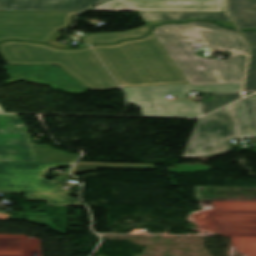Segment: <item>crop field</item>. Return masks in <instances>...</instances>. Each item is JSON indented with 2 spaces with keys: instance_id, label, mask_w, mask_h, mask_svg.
<instances>
[{
  "instance_id": "d1516ede",
  "label": "crop field",
  "mask_w": 256,
  "mask_h": 256,
  "mask_svg": "<svg viewBox=\"0 0 256 256\" xmlns=\"http://www.w3.org/2000/svg\"><path fill=\"white\" fill-rule=\"evenodd\" d=\"M149 28L165 21L184 22L187 19H207L218 25L235 28L225 12H138ZM236 29V28H235Z\"/></svg>"
},
{
  "instance_id": "5142ce71",
  "label": "crop field",
  "mask_w": 256,
  "mask_h": 256,
  "mask_svg": "<svg viewBox=\"0 0 256 256\" xmlns=\"http://www.w3.org/2000/svg\"><path fill=\"white\" fill-rule=\"evenodd\" d=\"M149 31L147 26L122 32V33H99V34H90L84 39L89 43H113L120 39L127 38H138L144 36Z\"/></svg>"
},
{
  "instance_id": "28ad6ade",
  "label": "crop field",
  "mask_w": 256,
  "mask_h": 256,
  "mask_svg": "<svg viewBox=\"0 0 256 256\" xmlns=\"http://www.w3.org/2000/svg\"><path fill=\"white\" fill-rule=\"evenodd\" d=\"M100 0H1L0 10H78Z\"/></svg>"
},
{
  "instance_id": "dafd665d",
  "label": "crop field",
  "mask_w": 256,
  "mask_h": 256,
  "mask_svg": "<svg viewBox=\"0 0 256 256\" xmlns=\"http://www.w3.org/2000/svg\"><path fill=\"white\" fill-rule=\"evenodd\" d=\"M8 219H15V216L10 215Z\"/></svg>"
},
{
  "instance_id": "ac0d7876",
  "label": "crop field",
  "mask_w": 256,
  "mask_h": 256,
  "mask_svg": "<svg viewBox=\"0 0 256 256\" xmlns=\"http://www.w3.org/2000/svg\"><path fill=\"white\" fill-rule=\"evenodd\" d=\"M121 87L189 84L155 36L92 46Z\"/></svg>"
},
{
  "instance_id": "e52e79f7",
  "label": "crop field",
  "mask_w": 256,
  "mask_h": 256,
  "mask_svg": "<svg viewBox=\"0 0 256 256\" xmlns=\"http://www.w3.org/2000/svg\"><path fill=\"white\" fill-rule=\"evenodd\" d=\"M240 138L230 109L225 107L199 119L182 158L231 150L230 139Z\"/></svg>"
},
{
  "instance_id": "412701ff",
  "label": "crop field",
  "mask_w": 256,
  "mask_h": 256,
  "mask_svg": "<svg viewBox=\"0 0 256 256\" xmlns=\"http://www.w3.org/2000/svg\"><path fill=\"white\" fill-rule=\"evenodd\" d=\"M73 163L0 161V193H25L28 200L47 201L49 206H82L57 189L44 173Z\"/></svg>"
},
{
  "instance_id": "d9b57169",
  "label": "crop field",
  "mask_w": 256,
  "mask_h": 256,
  "mask_svg": "<svg viewBox=\"0 0 256 256\" xmlns=\"http://www.w3.org/2000/svg\"><path fill=\"white\" fill-rule=\"evenodd\" d=\"M251 47L249 66L243 91H256V31L242 32Z\"/></svg>"
},
{
  "instance_id": "8a807250",
  "label": "crop field",
  "mask_w": 256,
  "mask_h": 256,
  "mask_svg": "<svg viewBox=\"0 0 256 256\" xmlns=\"http://www.w3.org/2000/svg\"><path fill=\"white\" fill-rule=\"evenodd\" d=\"M154 35L189 81L190 85L242 83L247 56L230 54L229 60L195 56L186 41L247 54L248 47L239 32L211 23L165 24Z\"/></svg>"
},
{
  "instance_id": "22f410ed",
  "label": "crop field",
  "mask_w": 256,
  "mask_h": 256,
  "mask_svg": "<svg viewBox=\"0 0 256 256\" xmlns=\"http://www.w3.org/2000/svg\"><path fill=\"white\" fill-rule=\"evenodd\" d=\"M242 137H256V102L254 96L232 104Z\"/></svg>"
},
{
  "instance_id": "00972430",
  "label": "crop field",
  "mask_w": 256,
  "mask_h": 256,
  "mask_svg": "<svg viewBox=\"0 0 256 256\" xmlns=\"http://www.w3.org/2000/svg\"><path fill=\"white\" fill-rule=\"evenodd\" d=\"M0 112H4V110L1 108V106H0Z\"/></svg>"
},
{
  "instance_id": "dd49c442",
  "label": "crop field",
  "mask_w": 256,
  "mask_h": 256,
  "mask_svg": "<svg viewBox=\"0 0 256 256\" xmlns=\"http://www.w3.org/2000/svg\"><path fill=\"white\" fill-rule=\"evenodd\" d=\"M76 12H0V40L46 42ZM50 39V38H49Z\"/></svg>"
},
{
  "instance_id": "3316defc",
  "label": "crop field",
  "mask_w": 256,
  "mask_h": 256,
  "mask_svg": "<svg viewBox=\"0 0 256 256\" xmlns=\"http://www.w3.org/2000/svg\"><path fill=\"white\" fill-rule=\"evenodd\" d=\"M0 160L35 161L29 134L18 115H0Z\"/></svg>"
},
{
  "instance_id": "cbeb9de0",
  "label": "crop field",
  "mask_w": 256,
  "mask_h": 256,
  "mask_svg": "<svg viewBox=\"0 0 256 256\" xmlns=\"http://www.w3.org/2000/svg\"><path fill=\"white\" fill-rule=\"evenodd\" d=\"M96 169H138L151 170L155 169L154 164H127V163H75L72 174Z\"/></svg>"
},
{
  "instance_id": "d8731c3e",
  "label": "crop field",
  "mask_w": 256,
  "mask_h": 256,
  "mask_svg": "<svg viewBox=\"0 0 256 256\" xmlns=\"http://www.w3.org/2000/svg\"><path fill=\"white\" fill-rule=\"evenodd\" d=\"M225 0H110L88 11H224Z\"/></svg>"
},
{
  "instance_id": "5a996713",
  "label": "crop field",
  "mask_w": 256,
  "mask_h": 256,
  "mask_svg": "<svg viewBox=\"0 0 256 256\" xmlns=\"http://www.w3.org/2000/svg\"><path fill=\"white\" fill-rule=\"evenodd\" d=\"M12 83L19 80L51 86L52 89L69 94H82L87 88L57 66L41 65H5Z\"/></svg>"
},
{
  "instance_id": "34b2d1b8",
  "label": "crop field",
  "mask_w": 256,
  "mask_h": 256,
  "mask_svg": "<svg viewBox=\"0 0 256 256\" xmlns=\"http://www.w3.org/2000/svg\"><path fill=\"white\" fill-rule=\"evenodd\" d=\"M7 64L58 65L91 90L119 89L89 46L83 50H60L20 41L0 43Z\"/></svg>"
},
{
  "instance_id": "4a817a6b",
  "label": "crop field",
  "mask_w": 256,
  "mask_h": 256,
  "mask_svg": "<svg viewBox=\"0 0 256 256\" xmlns=\"http://www.w3.org/2000/svg\"><path fill=\"white\" fill-rule=\"evenodd\" d=\"M239 29H256V12L229 13Z\"/></svg>"
},
{
  "instance_id": "92a150f3",
  "label": "crop field",
  "mask_w": 256,
  "mask_h": 256,
  "mask_svg": "<svg viewBox=\"0 0 256 256\" xmlns=\"http://www.w3.org/2000/svg\"><path fill=\"white\" fill-rule=\"evenodd\" d=\"M9 215L0 213V220L5 221Z\"/></svg>"
},
{
  "instance_id": "bc2a9ffb",
  "label": "crop field",
  "mask_w": 256,
  "mask_h": 256,
  "mask_svg": "<svg viewBox=\"0 0 256 256\" xmlns=\"http://www.w3.org/2000/svg\"><path fill=\"white\" fill-rule=\"evenodd\" d=\"M228 11H256V0H228Z\"/></svg>"
},
{
  "instance_id": "214f88e0",
  "label": "crop field",
  "mask_w": 256,
  "mask_h": 256,
  "mask_svg": "<svg viewBox=\"0 0 256 256\" xmlns=\"http://www.w3.org/2000/svg\"><path fill=\"white\" fill-rule=\"evenodd\" d=\"M66 179H67V176L59 175V176L55 177L54 179H52V181L61 183V182H65Z\"/></svg>"
},
{
  "instance_id": "733c2abd",
  "label": "crop field",
  "mask_w": 256,
  "mask_h": 256,
  "mask_svg": "<svg viewBox=\"0 0 256 256\" xmlns=\"http://www.w3.org/2000/svg\"><path fill=\"white\" fill-rule=\"evenodd\" d=\"M240 93L213 95V102H201L202 115L240 98ZM212 112V111H211Z\"/></svg>"
},
{
  "instance_id": "f4fd0767",
  "label": "crop field",
  "mask_w": 256,
  "mask_h": 256,
  "mask_svg": "<svg viewBox=\"0 0 256 256\" xmlns=\"http://www.w3.org/2000/svg\"><path fill=\"white\" fill-rule=\"evenodd\" d=\"M242 84L230 85H169L123 88L128 103L141 107L143 116L154 117H197L200 116L197 104L189 100L166 101V95H177L178 99L187 98L190 91L205 93L240 91Z\"/></svg>"
}]
</instances>
